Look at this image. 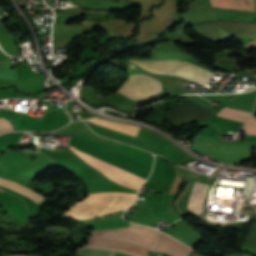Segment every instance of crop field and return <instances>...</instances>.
<instances>
[{
    "label": "crop field",
    "instance_id": "8a807250",
    "mask_svg": "<svg viewBox=\"0 0 256 256\" xmlns=\"http://www.w3.org/2000/svg\"><path fill=\"white\" fill-rule=\"evenodd\" d=\"M157 233L141 230L111 231L103 230L95 239L129 237L117 250L116 256H148L147 250L152 246ZM123 240L94 242L88 241L84 246L118 247ZM115 249H77V256H114Z\"/></svg>",
    "mask_w": 256,
    "mask_h": 256
},
{
    "label": "crop field",
    "instance_id": "ac0d7876",
    "mask_svg": "<svg viewBox=\"0 0 256 256\" xmlns=\"http://www.w3.org/2000/svg\"><path fill=\"white\" fill-rule=\"evenodd\" d=\"M152 73L179 76L204 85L214 74L206 69L175 60L138 61L128 60Z\"/></svg>",
    "mask_w": 256,
    "mask_h": 256
},
{
    "label": "crop field",
    "instance_id": "34b2d1b8",
    "mask_svg": "<svg viewBox=\"0 0 256 256\" xmlns=\"http://www.w3.org/2000/svg\"><path fill=\"white\" fill-rule=\"evenodd\" d=\"M195 28L211 39L230 35L256 38V22L216 21L195 25Z\"/></svg>",
    "mask_w": 256,
    "mask_h": 256
},
{
    "label": "crop field",
    "instance_id": "412701ff",
    "mask_svg": "<svg viewBox=\"0 0 256 256\" xmlns=\"http://www.w3.org/2000/svg\"><path fill=\"white\" fill-rule=\"evenodd\" d=\"M161 91L158 79L144 74H133L117 92L140 101Z\"/></svg>",
    "mask_w": 256,
    "mask_h": 256
},
{
    "label": "crop field",
    "instance_id": "f4fd0767",
    "mask_svg": "<svg viewBox=\"0 0 256 256\" xmlns=\"http://www.w3.org/2000/svg\"><path fill=\"white\" fill-rule=\"evenodd\" d=\"M79 136H82L90 141H93L97 144H100L104 147H107L113 151H116L120 154H123L127 157H130L134 160H137L143 164H146L148 166H152V162H153V155L144 152L142 150L130 147V146H126L114 141H110L104 138H101L95 134H93L87 127L77 130L75 132H73Z\"/></svg>",
    "mask_w": 256,
    "mask_h": 256
},
{
    "label": "crop field",
    "instance_id": "dd49c442",
    "mask_svg": "<svg viewBox=\"0 0 256 256\" xmlns=\"http://www.w3.org/2000/svg\"><path fill=\"white\" fill-rule=\"evenodd\" d=\"M211 115V113L194 103L183 100L173 107L169 112L168 117L171 124H175L193 120H209Z\"/></svg>",
    "mask_w": 256,
    "mask_h": 256
},
{
    "label": "crop field",
    "instance_id": "e52e79f7",
    "mask_svg": "<svg viewBox=\"0 0 256 256\" xmlns=\"http://www.w3.org/2000/svg\"><path fill=\"white\" fill-rule=\"evenodd\" d=\"M153 251L171 256H187L193 250L161 233Z\"/></svg>",
    "mask_w": 256,
    "mask_h": 256
},
{
    "label": "crop field",
    "instance_id": "d8731c3e",
    "mask_svg": "<svg viewBox=\"0 0 256 256\" xmlns=\"http://www.w3.org/2000/svg\"><path fill=\"white\" fill-rule=\"evenodd\" d=\"M210 188V185L198 183L192 192L191 205L198 214H200L208 204L207 197Z\"/></svg>",
    "mask_w": 256,
    "mask_h": 256
},
{
    "label": "crop field",
    "instance_id": "5a996713",
    "mask_svg": "<svg viewBox=\"0 0 256 256\" xmlns=\"http://www.w3.org/2000/svg\"><path fill=\"white\" fill-rule=\"evenodd\" d=\"M0 186L6 187L8 189H11V190L17 192V193H20V194L32 199L36 203H38L42 199H44L40 194L33 192L20 184H17L15 182L8 181V180L2 179V178H0Z\"/></svg>",
    "mask_w": 256,
    "mask_h": 256
},
{
    "label": "crop field",
    "instance_id": "3316defc",
    "mask_svg": "<svg viewBox=\"0 0 256 256\" xmlns=\"http://www.w3.org/2000/svg\"><path fill=\"white\" fill-rule=\"evenodd\" d=\"M217 8L254 10L253 0H211Z\"/></svg>",
    "mask_w": 256,
    "mask_h": 256
},
{
    "label": "crop field",
    "instance_id": "28ad6ade",
    "mask_svg": "<svg viewBox=\"0 0 256 256\" xmlns=\"http://www.w3.org/2000/svg\"><path fill=\"white\" fill-rule=\"evenodd\" d=\"M217 116L226 117L238 121L245 122V120L250 115L249 112L239 111V110H233L228 107L222 108L220 111L216 113Z\"/></svg>",
    "mask_w": 256,
    "mask_h": 256
},
{
    "label": "crop field",
    "instance_id": "d1516ede",
    "mask_svg": "<svg viewBox=\"0 0 256 256\" xmlns=\"http://www.w3.org/2000/svg\"><path fill=\"white\" fill-rule=\"evenodd\" d=\"M243 128L248 134L256 135V119L250 117Z\"/></svg>",
    "mask_w": 256,
    "mask_h": 256
},
{
    "label": "crop field",
    "instance_id": "22f410ed",
    "mask_svg": "<svg viewBox=\"0 0 256 256\" xmlns=\"http://www.w3.org/2000/svg\"><path fill=\"white\" fill-rule=\"evenodd\" d=\"M13 130V127L10 122L5 120L3 117L0 118V133Z\"/></svg>",
    "mask_w": 256,
    "mask_h": 256
},
{
    "label": "crop field",
    "instance_id": "cbeb9de0",
    "mask_svg": "<svg viewBox=\"0 0 256 256\" xmlns=\"http://www.w3.org/2000/svg\"><path fill=\"white\" fill-rule=\"evenodd\" d=\"M14 256H25V255H14Z\"/></svg>",
    "mask_w": 256,
    "mask_h": 256
},
{
    "label": "crop field",
    "instance_id": "5142ce71",
    "mask_svg": "<svg viewBox=\"0 0 256 256\" xmlns=\"http://www.w3.org/2000/svg\"><path fill=\"white\" fill-rule=\"evenodd\" d=\"M28 256H33V255H28Z\"/></svg>",
    "mask_w": 256,
    "mask_h": 256
}]
</instances>
